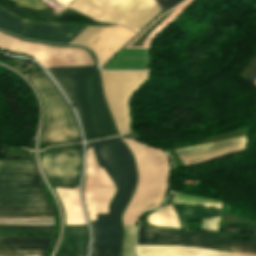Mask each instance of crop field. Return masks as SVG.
<instances>
[{"label":"crop field","instance_id":"13","mask_svg":"<svg viewBox=\"0 0 256 256\" xmlns=\"http://www.w3.org/2000/svg\"><path fill=\"white\" fill-rule=\"evenodd\" d=\"M137 252L138 256H256L253 254L224 253L179 246L137 245Z\"/></svg>","mask_w":256,"mask_h":256},{"label":"crop field","instance_id":"34","mask_svg":"<svg viewBox=\"0 0 256 256\" xmlns=\"http://www.w3.org/2000/svg\"><path fill=\"white\" fill-rule=\"evenodd\" d=\"M57 1H59L60 3L66 5V4H68L72 0H57Z\"/></svg>","mask_w":256,"mask_h":256},{"label":"crop field","instance_id":"6","mask_svg":"<svg viewBox=\"0 0 256 256\" xmlns=\"http://www.w3.org/2000/svg\"><path fill=\"white\" fill-rule=\"evenodd\" d=\"M70 7L103 22L139 31L160 10L155 0H74Z\"/></svg>","mask_w":256,"mask_h":256},{"label":"crop field","instance_id":"2","mask_svg":"<svg viewBox=\"0 0 256 256\" xmlns=\"http://www.w3.org/2000/svg\"><path fill=\"white\" fill-rule=\"evenodd\" d=\"M57 83L75 106L86 140L116 134L94 65L50 68Z\"/></svg>","mask_w":256,"mask_h":256},{"label":"crop field","instance_id":"20","mask_svg":"<svg viewBox=\"0 0 256 256\" xmlns=\"http://www.w3.org/2000/svg\"><path fill=\"white\" fill-rule=\"evenodd\" d=\"M84 186H114L102 167L98 168L91 147L86 149Z\"/></svg>","mask_w":256,"mask_h":256},{"label":"crop field","instance_id":"29","mask_svg":"<svg viewBox=\"0 0 256 256\" xmlns=\"http://www.w3.org/2000/svg\"><path fill=\"white\" fill-rule=\"evenodd\" d=\"M17 2L18 6H28L33 8H44L45 6L40 0H14Z\"/></svg>","mask_w":256,"mask_h":256},{"label":"crop field","instance_id":"25","mask_svg":"<svg viewBox=\"0 0 256 256\" xmlns=\"http://www.w3.org/2000/svg\"><path fill=\"white\" fill-rule=\"evenodd\" d=\"M0 233L52 236L53 230H5V229H0Z\"/></svg>","mask_w":256,"mask_h":256},{"label":"crop field","instance_id":"24","mask_svg":"<svg viewBox=\"0 0 256 256\" xmlns=\"http://www.w3.org/2000/svg\"><path fill=\"white\" fill-rule=\"evenodd\" d=\"M125 239L123 245V256H136L135 242H134V228L135 226L124 225Z\"/></svg>","mask_w":256,"mask_h":256},{"label":"crop field","instance_id":"1","mask_svg":"<svg viewBox=\"0 0 256 256\" xmlns=\"http://www.w3.org/2000/svg\"><path fill=\"white\" fill-rule=\"evenodd\" d=\"M93 148L98 165L102 166L117 187L109 203V214H97L92 220L94 238L92 246L119 248L121 228L119 215L135 182L131 155L118 136L86 143Z\"/></svg>","mask_w":256,"mask_h":256},{"label":"crop field","instance_id":"33","mask_svg":"<svg viewBox=\"0 0 256 256\" xmlns=\"http://www.w3.org/2000/svg\"><path fill=\"white\" fill-rule=\"evenodd\" d=\"M0 255H14L7 250H0Z\"/></svg>","mask_w":256,"mask_h":256},{"label":"crop field","instance_id":"9","mask_svg":"<svg viewBox=\"0 0 256 256\" xmlns=\"http://www.w3.org/2000/svg\"><path fill=\"white\" fill-rule=\"evenodd\" d=\"M86 27L80 25L29 22L0 7V28L29 39L69 43Z\"/></svg>","mask_w":256,"mask_h":256},{"label":"crop field","instance_id":"19","mask_svg":"<svg viewBox=\"0 0 256 256\" xmlns=\"http://www.w3.org/2000/svg\"><path fill=\"white\" fill-rule=\"evenodd\" d=\"M246 146H247V143L244 142V143L232 144V145H227V146H222V147H217V148H212V149H207L202 151L180 154L178 156L182 159V161L185 164L195 162V161H197L198 164H201L207 160L215 159L221 155L241 150Z\"/></svg>","mask_w":256,"mask_h":256},{"label":"crop field","instance_id":"27","mask_svg":"<svg viewBox=\"0 0 256 256\" xmlns=\"http://www.w3.org/2000/svg\"><path fill=\"white\" fill-rule=\"evenodd\" d=\"M119 249L92 247V256H118Z\"/></svg>","mask_w":256,"mask_h":256},{"label":"crop field","instance_id":"31","mask_svg":"<svg viewBox=\"0 0 256 256\" xmlns=\"http://www.w3.org/2000/svg\"><path fill=\"white\" fill-rule=\"evenodd\" d=\"M156 1L158 2L162 10H164L179 0H156Z\"/></svg>","mask_w":256,"mask_h":256},{"label":"crop field","instance_id":"23","mask_svg":"<svg viewBox=\"0 0 256 256\" xmlns=\"http://www.w3.org/2000/svg\"><path fill=\"white\" fill-rule=\"evenodd\" d=\"M243 141H246V136L231 138V139H227V140H222V141H217V142H213V143L202 144V145H197V146H192V147H187V148H182V149H177L176 152H177V154H180V153L191 152V151L212 148V147H216V146H221V145H226V144L236 143V142H243Z\"/></svg>","mask_w":256,"mask_h":256},{"label":"crop field","instance_id":"12","mask_svg":"<svg viewBox=\"0 0 256 256\" xmlns=\"http://www.w3.org/2000/svg\"><path fill=\"white\" fill-rule=\"evenodd\" d=\"M171 203L203 205V206H211V207L221 208L220 202L206 200V199L188 196V195H182V194H175ZM182 206L183 205H174L173 204L180 228L158 226V225H153L152 227L186 230L184 220L197 219V218L219 219L220 212H221V210L212 209V208L192 207V206L182 207ZM187 231H194V230H187ZM196 232H206V233H215V234H230V233H216V232H207V231H196ZM231 235L256 236V235H250V234H231Z\"/></svg>","mask_w":256,"mask_h":256},{"label":"crop field","instance_id":"36","mask_svg":"<svg viewBox=\"0 0 256 256\" xmlns=\"http://www.w3.org/2000/svg\"><path fill=\"white\" fill-rule=\"evenodd\" d=\"M0 249H5V248H3V247L0 245Z\"/></svg>","mask_w":256,"mask_h":256},{"label":"crop field","instance_id":"7","mask_svg":"<svg viewBox=\"0 0 256 256\" xmlns=\"http://www.w3.org/2000/svg\"><path fill=\"white\" fill-rule=\"evenodd\" d=\"M142 228L138 231V243L145 245H180L218 250L224 252L253 253L256 254V242L222 238L236 237L256 239V237L215 235L205 233H183L175 230Z\"/></svg>","mask_w":256,"mask_h":256},{"label":"crop field","instance_id":"11","mask_svg":"<svg viewBox=\"0 0 256 256\" xmlns=\"http://www.w3.org/2000/svg\"><path fill=\"white\" fill-rule=\"evenodd\" d=\"M134 34L120 25L88 26L70 43H80L91 48L98 55L101 65Z\"/></svg>","mask_w":256,"mask_h":256},{"label":"crop field","instance_id":"22","mask_svg":"<svg viewBox=\"0 0 256 256\" xmlns=\"http://www.w3.org/2000/svg\"><path fill=\"white\" fill-rule=\"evenodd\" d=\"M147 221L149 223L179 227L172 205L163 206L150 213L147 216Z\"/></svg>","mask_w":256,"mask_h":256},{"label":"crop field","instance_id":"18","mask_svg":"<svg viewBox=\"0 0 256 256\" xmlns=\"http://www.w3.org/2000/svg\"><path fill=\"white\" fill-rule=\"evenodd\" d=\"M79 185L73 189L55 188L65 212V224H86L82 212L79 196Z\"/></svg>","mask_w":256,"mask_h":256},{"label":"crop field","instance_id":"5","mask_svg":"<svg viewBox=\"0 0 256 256\" xmlns=\"http://www.w3.org/2000/svg\"><path fill=\"white\" fill-rule=\"evenodd\" d=\"M29 79L37 87L45 105L42 144L80 142L75 116L47 75L40 74Z\"/></svg>","mask_w":256,"mask_h":256},{"label":"crop field","instance_id":"28","mask_svg":"<svg viewBox=\"0 0 256 256\" xmlns=\"http://www.w3.org/2000/svg\"><path fill=\"white\" fill-rule=\"evenodd\" d=\"M221 231L227 232H241V233H254L256 234V227L253 228H239L234 226H220Z\"/></svg>","mask_w":256,"mask_h":256},{"label":"crop field","instance_id":"16","mask_svg":"<svg viewBox=\"0 0 256 256\" xmlns=\"http://www.w3.org/2000/svg\"><path fill=\"white\" fill-rule=\"evenodd\" d=\"M116 192L115 187H84V201L89 219L96 213H108V203Z\"/></svg>","mask_w":256,"mask_h":256},{"label":"crop field","instance_id":"3","mask_svg":"<svg viewBox=\"0 0 256 256\" xmlns=\"http://www.w3.org/2000/svg\"><path fill=\"white\" fill-rule=\"evenodd\" d=\"M122 139L135 157L139 174L136 191L123 214L122 222L135 225L141 212L161 205L170 168L166 153L130 138Z\"/></svg>","mask_w":256,"mask_h":256},{"label":"crop field","instance_id":"14","mask_svg":"<svg viewBox=\"0 0 256 256\" xmlns=\"http://www.w3.org/2000/svg\"><path fill=\"white\" fill-rule=\"evenodd\" d=\"M49 66L94 64L91 55L78 47L45 45Z\"/></svg>","mask_w":256,"mask_h":256},{"label":"crop field","instance_id":"8","mask_svg":"<svg viewBox=\"0 0 256 256\" xmlns=\"http://www.w3.org/2000/svg\"><path fill=\"white\" fill-rule=\"evenodd\" d=\"M105 99L119 134L129 124L128 96L145 80L147 71H100Z\"/></svg>","mask_w":256,"mask_h":256},{"label":"crop field","instance_id":"32","mask_svg":"<svg viewBox=\"0 0 256 256\" xmlns=\"http://www.w3.org/2000/svg\"><path fill=\"white\" fill-rule=\"evenodd\" d=\"M247 80L251 81V82H255L256 80V68L254 69V71L249 75V77L247 78Z\"/></svg>","mask_w":256,"mask_h":256},{"label":"crop field","instance_id":"26","mask_svg":"<svg viewBox=\"0 0 256 256\" xmlns=\"http://www.w3.org/2000/svg\"><path fill=\"white\" fill-rule=\"evenodd\" d=\"M0 228H6V229H54V225L0 224Z\"/></svg>","mask_w":256,"mask_h":256},{"label":"crop field","instance_id":"15","mask_svg":"<svg viewBox=\"0 0 256 256\" xmlns=\"http://www.w3.org/2000/svg\"><path fill=\"white\" fill-rule=\"evenodd\" d=\"M66 234L55 256H86L88 230L86 225H65Z\"/></svg>","mask_w":256,"mask_h":256},{"label":"crop field","instance_id":"10","mask_svg":"<svg viewBox=\"0 0 256 256\" xmlns=\"http://www.w3.org/2000/svg\"><path fill=\"white\" fill-rule=\"evenodd\" d=\"M82 144L48 147L42 156V166L53 186L72 188L79 184Z\"/></svg>","mask_w":256,"mask_h":256},{"label":"crop field","instance_id":"30","mask_svg":"<svg viewBox=\"0 0 256 256\" xmlns=\"http://www.w3.org/2000/svg\"><path fill=\"white\" fill-rule=\"evenodd\" d=\"M22 256H44L46 250H14Z\"/></svg>","mask_w":256,"mask_h":256},{"label":"crop field","instance_id":"4","mask_svg":"<svg viewBox=\"0 0 256 256\" xmlns=\"http://www.w3.org/2000/svg\"><path fill=\"white\" fill-rule=\"evenodd\" d=\"M0 210L51 211L32 159L0 160Z\"/></svg>","mask_w":256,"mask_h":256},{"label":"crop field","instance_id":"17","mask_svg":"<svg viewBox=\"0 0 256 256\" xmlns=\"http://www.w3.org/2000/svg\"><path fill=\"white\" fill-rule=\"evenodd\" d=\"M0 48L11 52L30 55L48 70L43 44L19 40L0 32Z\"/></svg>","mask_w":256,"mask_h":256},{"label":"crop field","instance_id":"35","mask_svg":"<svg viewBox=\"0 0 256 256\" xmlns=\"http://www.w3.org/2000/svg\"><path fill=\"white\" fill-rule=\"evenodd\" d=\"M8 216H45V215H8Z\"/></svg>","mask_w":256,"mask_h":256},{"label":"crop field","instance_id":"37","mask_svg":"<svg viewBox=\"0 0 256 256\" xmlns=\"http://www.w3.org/2000/svg\"><path fill=\"white\" fill-rule=\"evenodd\" d=\"M254 84H256V82Z\"/></svg>","mask_w":256,"mask_h":256},{"label":"crop field","instance_id":"21","mask_svg":"<svg viewBox=\"0 0 256 256\" xmlns=\"http://www.w3.org/2000/svg\"><path fill=\"white\" fill-rule=\"evenodd\" d=\"M51 238L0 236V242L10 249H46Z\"/></svg>","mask_w":256,"mask_h":256}]
</instances>
